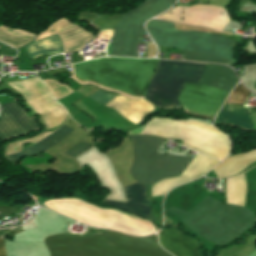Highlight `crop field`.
<instances>
[{"mask_svg": "<svg viewBox=\"0 0 256 256\" xmlns=\"http://www.w3.org/2000/svg\"><path fill=\"white\" fill-rule=\"evenodd\" d=\"M44 242L51 256H171L159 247L156 235L131 237L105 231L99 236L58 234Z\"/></svg>", "mask_w": 256, "mask_h": 256, "instance_id": "obj_1", "label": "crop field"}, {"mask_svg": "<svg viewBox=\"0 0 256 256\" xmlns=\"http://www.w3.org/2000/svg\"><path fill=\"white\" fill-rule=\"evenodd\" d=\"M167 212L179 216L191 231L217 245L237 238L255 223V215L246 208L222 204L209 197L189 213L178 208Z\"/></svg>", "mask_w": 256, "mask_h": 256, "instance_id": "obj_2", "label": "crop field"}, {"mask_svg": "<svg viewBox=\"0 0 256 256\" xmlns=\"http://www.w3.org/2000/svg\"><path fill=\"white\" fill-rule=\"evenodd\" d=\"M146 29L157 45L179 48L186 60L233 64L234 41L204 31H175L173 23L149 20Z\"/></svg>", "mask_w": 256, "mask_h": 256, "instance_id": "obj_3", "label": "crop field"}, {"mask_svg": "<svg viewBox=\"0 0 256 256\" xmlns=\"http://www.w3.org/2000/svg\"><path fill=\"white\" fill-rule=\"evenodd\" d=\"M134 148V162L130 173L134 180L144 185L179 176L192 161L190 158L154 154L163 144V139L149 135L128 137Z\"/></svg>", "mask_w": 256, "mask_h": 256, "instance_id": "obj_4", "label": "crop field"}, {"mask_svg": "<svg viewBox=\"0 0 256 256\" xmlns=\"http://www.w3.org/2000/svg\"><path fill=\"white\" fill-rule=\"evenodd\" d=\"M50 209L74 218L82 223L104 228L117 229L134 235L156 232L151 223L116 209L101 210L78 199H57L45 203Z\"/></svg>", "mask_w": 256, "mask_h": 256, "instance_id": "obj_5", "label": "crop field"}, {"mask_svg": "<svg viewBox=\"0 0 256 256\" xmlns=\"http://www.w3.org/2000/svg\"><path fill=\"white\" fill-rule=\"evenodd\" d=\"M204 65L161 60L145 98L162 109L174 108L179 105L177 96L184 83H199Z\"/></svg>", "mask_w": 256, "mask_h": 256, "instance_id": "obj_6", "label": "crop field"}, {"mask_svg": "<svg viewBox=\"0 0 256 256\" xmlns=\"http://www.w3.org/2000/svg\"><path fill=\"white\" fill-rule=\"evenodd\" d=\"M176 0H145L128 12L117 24L111 42V55L137 56L136 45L141 37L144 22L170 8Z\"/></svg>", "mask_w": 256, "mask_h": 256, "instance_id": "obj_7", "label": "crop field"}, {"mask_svg": "<svg viewBox=\"0 0 256 256\" xmlns=\"http://www.w3.org/2000/svg\"><path fill=\"white\" fill-rule=\"evenodd\" d=\"M0 140L20 137L39 129L35 118L25 115V110L18 103L0 106Z\"/></svg>", "mask_w": 256, "mask_h": 256, "instance_id": "obj_8", "label": "crop field"}, {"mask_svg": "<svg viewBox=\"0 0 256 256\" xmlns=\"http://www.w3.org/2000/svg\"><path fill=\"white\" fill-rule=\"evenodd\" d=\"M59 33L65 53L80 51L82 47L95 36L72 22L62 18L39 36L36 40L46 38L52 34Z\"/></svg>", "mask_w": 256, "mask_h": 256, "instance_id": "obj_9", "label": "crop field"}, {"mask_svg": "<svg viewBox=\"0 0 256 256\" xmlns=\"http://www.w3.org/2000/svg\"><path fill=\"white\" fill-rule=\"evenodd\" d=\"M105 106L114 109L128 121L138 124L143 116L151 112L155 107L144 99H133L117 95Z\"/></svg>", "mask_w": 256, "mask_h": 256, "instance_id": "obj_10", "label": "crop field"}, {"mask_svg": "<svg viewBox=\"0 0 256 256\" xmlns=\"http://www.w3.org/2000/svg\"><path fill=\"white\" fill-rule=\"evenodd\" d=\"M124 190L127 202L109 200L103 202L150 219V203L145 195L146 186L135 183L124 187Z\"/></svg>", "mask_w": 256, "mask_h": 256, "instance_id": "obj_11", "label": "crop field"}, {"mask_svg": "<svg viewBox=\"0 0 256 256\" xmlns=\"http://www.w3.org/2000/svg\"><path fill=\"white\" fill-rule=\"evenodd\" d=\"M159 243L174 256H200L197 252V243L186 238L182 233L164 230L159 233Z\"/></svg>", "mask_w": 256, "mask_h": 256, "instance_id": "obj_12", "label": "crop field"}, {"mask_svg": "<svg viewBox=\"0 0 256 256\" xmlns=\"http://www.w3.org/2000/svg\"><path fill=\"white\" fill-rule=\"evenodd\" d=\"M72 131L73 130L63 125L56 132L46 134L36 139L27 147V149L24 152H21L12 156H7L6 158L15 166V164L21 158L25 156H34V155L40 154L44 150L51 148L60 139H62L64 136L68 135Z\"/></svg>", "mask_w": 256, "mask_h": 256, "instance_id": "obj_13", "label": "crop field"}, {"mask_svg": "<svg viewBox=\"0 0 256 256\" xmlns=\"http://www.w3.org/2000/svg\"><path fill=\"white\" fill-rule=\"evenodd\" d=\"M216 121L252 130L248 110L236 105L223 106Z\"/></svg>", "mask_w": 256, "mask_h": 256, "instance_id": "obj_14", "label": "crop field"}, {"mask_svg": "<svg viewBox=\"0 0 256 256\" xmlns=\"http://www.w3.org/2000/svg\"><path fill=\"white\" fill-rule=\"evenodd\" d=\"M27 54L31 59L43 54L55 53L63 51L62 43L59 35L46 38L39 42L25 46Z\"/></svg>", "mask_w": 256, "mask_h": 256, "instance_id": "obj_15", "label": "crop field"}, {"mask_svg": "<svg viewBox=\"0 0 256 256\" xmlns=\"http://www.w3.org/2000/svg\"><path fill=\"white\" fill-rule=\"evenodd\" d=\"M36 35L21 30L8 29L0 26V41L12 47L18 48L31 43Z\"/></svg>", "mask_w": 256, "mask_h": 256, "instance_id": "obj_16", "label": "crop field"}, {"mask_svg": "<svg viewBox=\"0 0 256 256\" xmlns=\"http://www.w3.org/2000/svg\"><path fill=\"white\" fill-rule=\"evenodd\" d=\"M45 85L47 86L48 90L50 91V93L53 95V97L58 100L72 92H74L73 90H71L67 85L51 80V79H47V80H43Z\"/></svg>", "mask_w": 256, "mask_h": 256, "instance_id": "obj_17", "label": "crop field"}, {"mask_svg": "<svg viewBox=\"0 0 256 256\" xmlns=\"http://www.w3.org/2000/svg\"><path fill=\"white\" fill-rule=\"evenodd\" d=\"M251 92L246 90L242 84H238L234 92L231 94L229 99L226 101V104L234 103L242 105L243 102L247 99Z\"/></svg>", "mask_w": 256, "mask_h": 256, "instance_id": "obj_18", "label": "crop field"}, {"mask_svg": "<svg viewBox=\"0 0 256 256\" xmlns=\"http://www.w3.org/2000/svg\"><path fill=\"white\" fill-rule=\"evenodd\" d=\"M115 96L116 95H114V94L99 90V91L89 95L88 97L105 105L107 102H109Z\"/></svg>", "mask_w": 256, "mask_h": 256, "instance_id": "obj_19", "label": "crop field"}, {"mask_svg": "<svg viewBox=\"0 0 256 256\" xmlns=\"http://www.w3.org/2000/svg\"><path fill=\"white\" fill-rule=\"evenodd\" d=\"M89 146H91V145L88 143H85V142H81V143L69 148L68 150H66L65 153L74 157L77 154H79L80 152L86 150Z\"/></svg>", "mask_w": 256, "mask_h": 256, "instance_id": "obj_20", "label": "crop field"}, {"mask_svg": "<svg viewBox=\"0 0 256 256\" xmlns=\"http://www.w3.org/2000/svg\"><path fill=\"white\" fill-rule=\"evenodd\" d=\"M0 256H6L3 240L0 239Z\"/></svg>", "mask_w": 256, "mask_h": 256, "instance_id": "obj_21", "label": "crop field"}, {"mask_svg": "<svg viewBox=\"0 0 256 256\" xmlns=\"http://www.w3.org/2000/svg\"><path fill=\"white\" fill-rule=\"evenodd\" d=\"M238 174V173H237ZM235 175V174H234Z\"/></svg>", "mask_w": 256, "mask_h": 256, "instance_id": "obj_22", "label": "crop field"}]
</instances>
